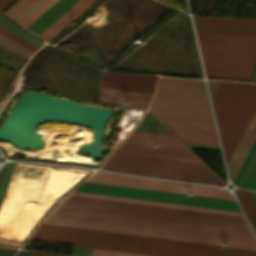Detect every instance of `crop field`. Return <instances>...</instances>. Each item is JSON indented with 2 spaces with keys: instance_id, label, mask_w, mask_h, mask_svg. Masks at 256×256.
Masks as SVG:
<instances>
[{
  "instance_id": "8a807250",
  "label": "crop field",
  "mask_w": 256,
  "mask_h": 256,
  "mask_svg": "<svg viewBox=\"0 0 256 256\" xmlns=\"http://www.w3.org/2000/svg\"><path fill=\"white\" fill-rule=\"evenodd\" d=\"M157 83L148 110L163 124L215 128L203 80L160 78ZM191 152L175 136L132 131L101 168L225 184Z\"/></svg>"
},
{
  "instance_id": "ac0d7876",
  "label": "crop field",
  "mask_w": 256,
  "mask_h": 256,
  "mask_svg": "<svg viewBox=\"0 0 256 256\" xmlns=\"http://www.w3.org/2000/svg\"><path fill=\"white\" fill-rule=\"evenodd\" d=\"M256 250L248 224L61 201L43 221Z\"/></svg>"
},
{
  "instance_id": "34b2d1b8",
  "label": "crop field",
  "mask_w": 256,
  "mask_h": 256,
  "mask_svg": "<svg viewBox=\"0 0 256 256\" xmlns=\"http://www.w3.org/2000/svg\"><path fill=\"white\" fill-rule=\"evenodd\" d=\"M206 77L249 81L256 19L193 17Z\"/></svg>"
},
{
  "instance_id": "412701ff",
  "label": "crop field",
  "mask_w": 256,
  "mask_h": 256,
  "mask_svg": "<svg viewBox=\"0 0 256 256\" xmlns=\"http://www.w3.org/2000/svg\"><path fill=\"white\" fill-rule=\"evenodd\" d=\"M33 240L151 256H256V251L40 223Z\"/></svg>"
},
{
  "instance_id": "f4fd0767",
  "label": "crop field",
  "mask_w": 256,
  "mask_h": 256,
  "mask_svg": "<svg viewBox=\"0 0 256 256\" xmlns=\"http://www.w3.org/2000/svg\"><path fill=\"white\" fill-rule=\"evenodd\" d=\"M208 84L227 163L256 108V84L213 80Z\"/></svg>"
},
{
  "instance_id": "dd49c442",
  "label": "crop field",
  "mask_w": 256,
  "mask_h": 256,
  "mask_svg": "<svg viewBox=\"0 0 256 256\" xmlns=\"http://www.w3.org/2000/svg\"><path fill=\"white\" fill-rule=\"evenodd\" d=\"M64 200L243 222L242 212L72 191Z\"/></svg>"
},
{
  "instance_id": "e52e79f7",
  "label": "crop field",
  "mask_w": 256,
  "mask_h": 256,
  "mask_svg": "<svg viewBox=\"0 0 256 256\" xmlns=\"http://www.w3.org/2000/svg\"><path fill=\"white\" fill-rule=\"evenodd\" d=\"M74 190L241 211L236 201L196 196V195L189 196L184 194H176V193H168V192L88 183V182H83Z\"/></svg>"
},
{
  "instance_id": "d8731c3e",
  "label": "crop field",
  "mask_w": 256,
  "mask_h": 256,
  "mask_svg": "<svg viewBox=\"0 0 256 256\" xmlns=\"http://www.w3.org/2000/svg\"><path fill=\"white\" fill-rule=\"evenodd\" d=\"M85 181L136 187V188H144V189H152V190H160V191H168V192H176V193H184V194L192 193L196 195L234 200V198L231 196V194L227 190H220L218 188H214L210 186L138 178V177H131V176L101 172V171H96Z\"/></svg>"
},
{
  "instance_id": "5a996713",
  "label": "crop field",
  "mask_w": 256,
  "mask_h": 256,
  "mask_svg": "<svg viewBox=\"0 0 256 256\" xmlns=\"http://www.w3.org/2000/svg\"><path fill=\"white\" fill-rule=\"evenodd\" d=\"M256 139V110L253 113L242 137L240 138L228 164L230 179L234 182L245 158Z\"/></svg>"
},
{
  "instance_id": "3316defc",
  "label": "crop field",
  "mask_w": 256,
  "mask_h": 256,
  "mask_svg": "<svg viewBox=\"0 0 256 256\" xmlns=\"http://www.w3.org/2000/svg\"><path fill=\"white\" fill-rule=\"evenodd\" d=\"M95 1L97 0H78L38 36L50 43Z\"/></svg>"
},
{
  "instance_id": "28ad6ade",
  "label": "crop field",
  "mask_w": 256,
  "mask_h": 256,
  "mask_svg": "<svg viewBox=\"0 0 256 256\" xmlns=\"http://www.w3.org/2000/svg\"><path fill=\"white\" fill-rule=\"evenodd\" d=\"M165 126L174 132L183 143L219 145L215 129Z\"/></svg>"
},
{
  "instance_id": "d1516ede",
  "label": "crop field",
  "mask_w": 256,
  "mask_h": 256,
  "mask_svg": "<svg viewBox=\"0 0 256 256\" xmlns=\"http://www.w3.org/2000/svg\"><path fill=\"white\" fill-rule=\"evenodd\" d=\"M76 1L77 0H59L32 25H30L28 29L38 35Z\"/></svg>"
},
{
  "instance_id": "22f410ed",
  "label": "crop field",
  "mask_w": 256,
  "mask_h": 256,
  "mask_svg": "<svg viewBox=\"0 0 256 256\" xmlns=\"http://www.w3.org/2000/svg\"><path fill=\"white\" fill-rule=\"evenodd\" d=\"M50 0H38L31 8H29L21 17L16 21L22 25L28 21L34 14H36L43 6H45ZM57 0H51L45 7H43L36 15H34L23 26L26 28L33 23L40 15H42L50 6H52Z\"/></svg>"
},
{
  "instance_id": "cbeb9de0",
  "label": "crop field",
  "mask_w": 256,
  "mask_h": 256,
  "mask_svg": "<svg viewBox=\"0 0 256 256\" xmlns=\"http://www.w3.org/2000/svg\"><path fill=\"white\" fill-rule=\"evenodd\" d=\"M247 217L256 230V202L250 191L235 189L234 190Z\"/></svg>"
},
{
  "instance_id": "5142ce71",
  "label": "crop field",
  "mask_w": 256,
  "mask_h": 256,
  "mask_svg": "<svg viewBox=\"0 0 256 256\" xmlns=\"http://www.w3.org/2000/svg\"><path fill=\"white\" fill-rule=\"evenodd\" d=\"M37 0H19L4 14L10 16L13 19H17L22 15L29 7H31Z\"/></svg>"
},
{
  "instance_id": "d9b57169",
  "label": "crop field",
  "mask_w": 256,
  "mask_h": 256,
  "mask_svg": "<svg viewBox=\"0 0 256 256\" xmlns=\"http://www.w3.org/2000/svg\"><path fill=\"white\" fill-rule=\"evenodd\" d=\"M0 45L18 53L21 54L27 58L33 53V51L21 46L20 44L6 38L5 36L0 34Z\"/></svg>"
},
{
  "instance_id": "733c2abd",
  "label": "crop field",
  "mask_w": 256,
  "mask_h": 256,
  "mask_svg": "<svg viewBox=\"0 0 256 256\" xmlns=\"http://www.w3.org/2000/svg\"><path fill=\"white\" fill-rule=\"evenodd\" d=\"M0 33L3 34V35H5L6 37H8V38H10V39H12V40H14V41L20 43V44H22V45H24V46H26V47L32 49V50H36V49L38 48V47L32 45L31 43L25 41L24 39L18 37L17 35L11 33L10 31L4 29V28L1 27V26H0Z\"/></svg>"
},
{
  "instance_id": "4a817a6b",
  "label": "crop field",
  "mask_w": 256,
  "mask_h": 256,
  "mask_svg": "<svg viewBox=\"0 0 256 256\" xmlns=\"http://www.w3.org/2000/svg\"><path fill=\"white\" fill-rule=\"evenodd\" d=\"M243 187L256 190V161H255Z\"/></svg>"
},
{
  "instance_id": "bc2a9ffb",
  "label": "crop field",
  "mask_w": 256,
  "mask_h": 256,
  "mask_svg": "<svg viewBox=\"0 0 256 256\" xmlns=\"http://www.w3.org/2000/svg\"><path fill=\"white\" fill-rule=\"evenodd\" d=\"M92 256H143V255H136V254H128V253H120V252H112V251H104V250L93 249Z\"/></svg>"
},
{
  "instance_id": "214f88e0",
  "label": "crop field",
  "mask_w": 256,
  "mask_h": 256,
  "mask_svg": "<svg viewBox=\"0 0 256 256\" xmlns=\"http://www.w3.org/2000/svg\"><path fill=\"white\" fill-rule=\"evenodd\" d=\"M0 20L4 23H6L7 25L11 26L12 28L16 29L17 31L21 32L22 34L26 35L27 37L31 38L32 40L36 41L37 43L41 44L43 42H41L40 40L36 39L35 37H33L32 35H30L29 33L25 32L24 30H22L21 28H19L18 26H16L14 23H12L11 21H9L8 19H6L5 17L0 15Z\"/></svg>"
},
{
  "instance_id": "92a150f3",
  "label": "crop field",
  "mask_w": 256,
  "mask_h": 256,
  "mask_svg": "<svg viewBox=\"0 0 256 256\" xmlns=\"http://www.w3.org/2000/svg\"><path fill=\"white\" fill-rule=\"evenodd\" d=\"M13 164L14 163H10L7 170L5 171L2 179H1V183H0V200H1V197H2V194H3V191L5 189V186H6V183H7V180L9 178V175H10V172H11V169L13 167Z\"/></svg>"
},
{
  "instance_id": "dafd665d",
  "label": "crop field",
  "mask_w": 256,
  "mask_h": 256,
  "mask_svg": "<svg viewBox=\"0 0 256 256\" xmlns=\"http://www.w3.org/2000/svg\"><path fill=\"white\" fill-rule=\"evenodd\" d=\"M255 149H256V141H255V143H254V145H253V147H252V149H251V151H250V153H249V155H248V157H247V159H246V161H245V163H244V165H243V167H242V169H241V171H240V173H239V175H238V177H237V179L235 181L236 185L238 184V182H239V180H240V178H241L245 168L247 167V165H248V163H249V161H250V159H251Z\"/></svg>"
},
{
  "instance_id": "00972430",
  "label": "crop field",
  "mask_w": 256,
  "mask_h": 256,
  "mask_svg": "<svg viewBox=\"0 0 256 256\" xmlns=\"http://www.w3.org/2000/svg\"><path fill=\"white\" fill-rule=\"evenodd\" d=\"M255 159H256V151H255V153H254V155H253V157H252V159H251V161H250V163H249V165H248V167H247V169H246V171H245V173H244V175H243V177H242V179H241V181L238 185L239 187H242V185H243V183H244V181H245V179H246V177H247Z\"/></svg>"
},
{
  "instance_id": "a9b5d70f",
  "label": "crop field",
  "mask_w": 256,
  "mask_h": 256,
  "mask_svg": "<svg viewBox=\"0 0 256 256\" xmlns=\"http://www.w3.org/2000/svg\"><path fill=\"white\" fill-rule=\"evenodd\" d=\"M25 256H56V255H54V254H47V253H39V252L28 251Z\"/></svg>"
},
{
  "instance_id": "4177f3b9",
  "label": "crop field",
  "mask_w": 256,
  "mask_h": 256,
  "mask_svg": "<svg viewBox=\"0 0 256 256\" xmlns=\"http://www.w3.org/2000/svg\"><path fill=\"white\" fill-rule=\"evenodd\" d=\"M13 0H0V11L9 5Z\"/></svg>"
},
{
  "instance_id": "730fd06b",
  "label": "crop field",
  "mask_w": 256,
  "mask_h": 256,
  "mask_svg": "<svg viewBox=\"0 0 256 256\" xmlns=\"http://www.w3.org/2000/svg\"><path fill=\"white\" fill-rule=\"evenodd\" d=\"M251 193H252V195L254 196V198H255V200H256V192H252V191H251Z\"/></svg>"
}]
</instances>
